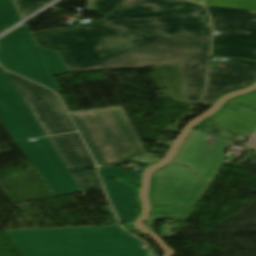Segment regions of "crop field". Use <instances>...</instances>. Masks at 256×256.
Listing matches in <instances>:
<instances>
[{"label": "crop field", "instance_id": "obj_3", "mask_svg": "<svg viewBox=\"0 0 256 256\" xmlns=\"http://www.w3.org/2000/svg\"><path fill=\"white\" fill-rule=\"evenodd\" d=\"M23 256H147L119 226L6 231Z\"/></svg>", "mask_w": 256, "mask_h": 256}, {"label": "crop field", "instance_id": "obj_9", "mask_svg": "<svg viewBox=\"0 0 256 256\" xmlns=\"http://www.w3.org/2000/svg\"><path fill=\"white\" fill-rule=\"evenodd\" d=\"M255 78L256 61L252 60L230 58L226 68L210 67L207 89L199 104L207 105L226 91L251 84Z\"/></svg>", "mask_w": 256, "mask_h": 256}, {"label": "crop field", "instance_id": "obj_7", "mask_svg": "<svg viewBox=\"0 0 256 256\" xmlns=\"http://www.w3.org/2000/svg\"><path fill=\"white\" fill-rule=\"evenodd\" d=\"M214 35L211 55L256 60V11L206 6Z\"/></svg>", "mask_w": 256, "mask_h": 256}, {"label": "crop field", "instance_id": "obj_6", "mask_svg": "<svg viewBox=\"0 0 256 256\" xmlns=\"http://www.w3.org/2000/svg\"><path fill=\"white\" fill-rule=\"evenodd\" d=\"M0 62L57 93L61 90L54 77L68 72L56 51L37 46L26 24L0 40Z\"/></svg>", "mask_w": 256, "mask_h": 256}, {"label": "crop field", "instance_id": "obj_1", "mask_svg": "<svg viewBox=\"0 0 256 256\" xmlns=\"http://www.w3.org/2000/svg\"><path fill=\"white\" fill-rule=\"evenodd\" d=\"M32 35L70 72L181 64L187 102L197 104L205 88L211 29L200 4L124 0L103 21Z\"/></svg>", "mask_w": 256, "mask_h": 256}, {"label": "crop field", "instance_id": "obj_11", "mask_svg": "<svg viewBox=\"0 0 256 256\" xmlns=\"http://www.w3.org/2000/svg\"><path fill=\"white\" fill-rule=\"evenodd\" d=\"M231 101L256 108V93L240 96ZM228 105L236 108L237 111L234 112V109L226 106L219 114L211 118V120L249 139L256 131V111L231 102H228Z\"/></svg>", "mask_w": 256, "mask_h": 256}, {"label": "crop field", "instance_id": "obj_15", "mask_svg": "<svg viewBox=\"0 0 256 256\" xmlns=\"http://www.w3.org/2000/svg\"><path fill=\"white\" fill-rule=\"evenodd\" d=\"M205 5L256 10V0H205Z\"/></svg>", "mask_w": 256, "mask_h": 256}, {"label": "crop field", "instance_id": "obj_14", "mask_svg": "<svg viewBox=\"0 0 256 256\" xmlns=\"http://www.w3.org/2000/svg\"><path fill=\"white\" fill-rule=\"evenodd\" d=\"M72 175L74 176L82 191L101 187L96 173L89 172L87 170H81L73 172Z\"/></svg>", "mask_w": 256, "mask_h": 256}, {"label": "crop field", "instance_id": "obj_5", "mask_svg": "<svg viewBox=\"0 0 256 256\" xmlns=\"http://www.w3.org/2000/svg\"><path fill=\"white\" fill-rule=\"evenodd\" d=\"M71 115L98 165H117L143 151L121 107Z\"/></svg>", "mask_w": 256, "mask_h": 256}, {"label": "crop field", "instance_id": "obj_4", "mask_svg": "<svg viewBox=\"0 0 256 256\" xmlns=\"http://www.w3.org/2000/svg\"><path fill=\"white\" fill-rule=\"evenodd\" d=\"M0 122L11 138L18 142L55 196L81 191L47 137L28 141L27 138L42 136L44 133L1 68Z\"/></svg>", "mask_w": 256, "mask_h": 256}, {"label": "crop field", "instance_id": "obj_17", "mask_svg": "<svg viewBox=\"0 0 256 256\" xmlns=\"http://www.w3.org/2000/svg\"><path fill=\"white\" fill-rule=\"evenodd\" d=\"M51 0H19L16 1V5L18 9L20 10L23 18L33 12L34 10L38 9L45 3L49 2Z\"/></svg>", "mask_w": 256, "mask_h": 256}, {"label": "crop field", "instance_id": "obj_19", "mask_svg": "<svg viewBox=\"0 0 256 256\" xmlns=\"http://www.w3.org/2000/svg\"><path fill=\"white\" fill-rule=\"evenodd\" d=\"M117 184H122V183L117 182Z\"/></svg>", "mask_w": 256, "mask_h": 256}, {"label": "crop field", "instance_id": "obj_13", "mask_svg": "<svg viewBox=\"0 0 256 256\" xmlns=\"http://www.w3.org/2000/svg\"><path fill=\"white\" fill-rule=\"evenodd\" d=\"M21 19L11 0H0V30Z\"/></svg>", "mask_w": 256, "mask_h": 256}, {"label": "crop field", "instance_id": "obj_12", "mask_svg": "<svg viewBox=\"0 0 256 256\" xmlns=\"http://www.w3.org/2000/svg\"><path fill=\"white\" fill-rule=\"evenodd\" d=\"M48 139L70 172L83 168H95V163L78 133L49 136Z\"/></svg>", "mask_w": 256, "mask_h": 256}, {"label": "crop field", "instance_id": "obj_16", "mask_svg": "<svg viewBox=\"0 0 256 256\" xmlns=\"http://www.w3.org/2000/svg\"><path fill=\"white\" fill-rule=\"evenodd\" d=\"M123 0H91L88 9L100 16H105L115 9Z\"/></svg>", "mask_w": 256, "mask_h": 256}, {"label": "crop field", "instance_id": "obj_20", "mask_svg": "<svg viewBox=\"0 0 256 256\" xmlns=\"http://www.w3.org/2000/svg\"><path fill=\"white\" fill-rule=\"evenodd\" d=\"M16 1V0H15Z\"/></svg>", "mask_w": 256, "mask_h": 256}, {"label": "crop field", "instance_id": "obj_18", "mask_svg": "<svg viewBox=\"0 0 256 256\" xmlns=\"http://www.w3.org/2000/svg\"><path fill=\"white\" fill-rule=\"evenodd\" d=\"M243 146L256 151V132L250 137V139L243 144Z\"/></svg>", "mask_w": 256, "mask_h": 256}, {"label": "crop field", "instance_id": "obj_10", "mask_svg": "<svg viewBox=\"0 0 256 256\" xmlns=\"http://www.w3.org/2000/svg\"><path fill=\"white\" fill-rule=\"evenodd\" d=\"M106 192L120 222L128 221L136 214V204L133 197L134 188L128 185H117L108 176L137 183L139 173L116 167H98Z\"/></svg>", "mask_w": 256, "mask_h": 256}, {"label": "crop field", "instance_id": "obj_8", "mask_svg": "<svg viewBox=\"0 0 256 256\" xmlns=\"http://www.w3.org/2000/svg\"><path fill=\"white\" fill-rule=\"evenodd\" d=\"M5 72L45 135L75 131L76 128L74 129L56 94L47 88Z\"/></svg>", "mask_w": 256, "mask_h": 256}, {"label": "crop field", "instance_id": "obj_2", "mask_svg": "<svg viewBox=\"0 0 256 256\" xmlns=\"http://www.w3.org/2000/svg\"><path fill=\"white\" fill-rule=\"evenodd\" d=\"M230 142L213 135L195 131L176 161L191 166L193 170L170 164L157 171L154 211H168L165 218L186 217L213 174L224 159L223 149Z\"/></svg>", "mask_w": 256, "mask_h": 256}]
</instances>
